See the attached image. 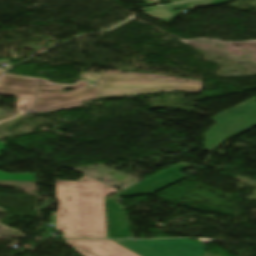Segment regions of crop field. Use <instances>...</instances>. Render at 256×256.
I'll use <instances>...</instances> for the list:
<instances>
[{"mask_svg":"<svg viewBox=\"0 0 256 256\" xmlns=\"http://www.w3.org/2000/svg\"><path fill=\"white\" fill-rule=\"evenodd\" d=\"M37 85L36 79L3 75L0 79V93L19 95V109L30 110L34 109L38 100Z\"/></svg>","mask_w":256,"mask_h":256,"instance_id":"6","label":"crop field"},{"mask_svg":"<svg viewBox=\"0 0 256 256\" xmlns=\"http://www.w3.org/2000/svg\"><path fill=\"white\" fill-rule=\"evenodd\" d=\"M165 2H178V1H184V0H164Z\"/></svg>","mask_w":256,"mask_h":256,"instance_id":"16","label":"crop field"},{"mask_svg":"<svg viewBox=\"0 0 256 256\" xmlns=\"http://www.w3.org/2000/svg\"><path fill=\"white\" fill-rule=\"evenodd\" d=\"M115 241L141 256H203L206 248L191 239Z\"/></svg>","mask_w":256,"mask_h":256,"instance_id":"4","label":"crop field"},{"mask_svg":"<svg viewBox=\"0 0 256 256\" xmlns=\"http://www.w3.org/2000/svg\"><path fill=\"white\" fill-rule=\"evenodd\" d=\"M0 151H5V143H0Z\"/></svg>","mask_w":256,"mask_h":256,"instance_id":"14","label":"crop field"},{"mask_svg":"<svg viewBox=\"0 0 256 256\" xmlns=\"http://www.w3.org/2000/svg\"><path fill=\"white\" fill-rule=\"evenodd\" d=\"M64 240L83 256H138L111 240Z\"/></svg>","mask_w":256,"mask_h":256,"instance_id":"7","label":"crop field"},{"mask_svg":"<svg viewBox=\"0 0 256 256\" xmlns=\"http://www.w3.org/2000/svg\"><path fill=\"white\" fill-rule=\"evenodd\" d=\"M15 121H16V118H15V119H12V120H9V121H6V122H2V123L0 124V139H1V138H6V137H8V133H6L5 131H3L2 129L12 126V124H13Z\"/></svg>","mask_w":256,"mask_h":256,"instance_id":"11","label":"crop field"},{"mask_svg":"<svg viewBox=\"0 0 256 256\" xmlns=\"http://www.w3.org/2000/svg\"><path fill=\"white\" fill-rule=\"evenodd\" d=\"M2 71H0V74H1Z\"/></svg>","mask_w":256,"mask_h":256,"instance_id":"17","label":"crop field"},{"mask_svg":"<svg viewBox=\"0 0 256 256\" xmlns=\"http://www.w3.org/2000/svg\"><path fill=\"white\" fill-rule=\"evenodd\" d=\"M66 87L40 83L38 86L39 100L36 102V107L34 110L26 111L25 113L81 107L82 102L99 98V84L97 83H94L93 87L85 86L72 92L62 91Z\"/></svg>","mask_w":256,"mask_h":256,"instance_id":"3","label":"crop field"},{"mask_svg":"<svg viewBox=\"0 0 256 256\" xmlns=\"http://www.w3.org/2000/svg\"><path fill=\"white\" fill-rule=\"evenodd\" d=\"M118 192L87 176L78 182L57 181L56 230L63 237L106 238L104 196Z\"/></svg>","mask_w":256,"mask_h":256,"instance_id":"1","label":"crop field"},{"mask_svg":"<svg viewBox=\"0 0 256 256\" xmlns=\"http://www.w3.org/2000/svg\"><path fill=\"white\" fill-rule=\"evenodd\" d=\"M226 2L227 0H202V1L189 2V3L171 5V6H165V7H159V8L145 9V12L147 15L151 17L170 23L178 15L172 12L176 9L203 7V6L215 5V4L226 3Z\"/></svg>","mask_w":256,"mask_h":256,"instance_id":"9","label":"crop field"},{"mask_svg":"<svg viewBox=\"0 0 256 256\" xmlns=\"http://www.w3.org/2000/svg\"><path fill=\"white\" fill-rule=\"evenodd\" d=\"M81 79L100 80V74H87V73H82Z\"/></svg>","mask_w":256,"mask_h":256,"instance_id":"12","label":"crop field"},{"mask_svg":"<svg viewBox=\"0 0 256 256\" xmlns=\"http://www.w3.org/2000/svg\"><path fill=\"white\" fill-rule=\"evenodd\" d=\"M189 167L191 166L185 163H182L174 168H171L135 186H132L116 195H112L109 197L124 198V197L152 194L162 188H165L175 182H178L186 178L185 176L181 175L180 172Z\"/></svg>","mask_w":256,"mask_h":256,"instance_id":"5","label":"crop field"},{"mask_svg":"<svg viewBox=\"0 0 256 256\" xmlns=\"http://www.w3.org/2000/svg\"><path fill=\"white\" fill-rule=\"evenodd\" d=\"M0 180L34 181V174H7L0 172Z\"/></svg>","mask_w":256,"mask_h":256,"instance_id":"10","label":"crop field"},{"mask_svg":"<svg viewBox=\"0 0 256 256\" xmlns=\"http://www.w3.org/2000/svg\"><path fill=\"white\" fill-rule=\"evenodd\" d=\"M119 199L106 198L108 210V237L132 238L125 209L118 205Z\"/></svg>","mask_w":256,"mask_h":256,"instance_id":"8","label":"crop field"},{"mask_svg":"<svg viewBox=\"0 0 256 256\" xmlns=\"http://www.w3.org/2000/svg\"><path fill=\"white\" fill-rule=\"evenodd\" d=\"M201 87L202 84L155 78L151 75L101 73L99 96L128 95L169 89L198 92Z\"/></svg>","mask_w":256,"mask_h":256,"instance_id":"2","label":"crop field"},{"mask_svg":"<svg viewBox=\"0 0 256 256\" xmlns=\"http://www.w3.org/2000/svg\"><path fill=\"white\" fill-rule=\"evenodd\" d=\"M16 115H18V113L7 114V115H1V116H0V121L6 120V119H10V118H12V117H14V116H16Z\"/></svg>","mask_w":256,"mask_h":256,"instance_id":"13","label":"crop field"},{"mask_svg":"<svg viewBox=\"0 0 256 256\" xmlns=\"http://www.w3.org/2000/svg\"><path fill=\"white\" fill-rule=\"evenodd\" d=\"M14 112H18V110L7 111V112H2V111H0V115H1V114H7V113H14Z\"/></svg>","mask_w":256,"mask_h":256,"instance_id":"15","label":"crop field"}]
</instances>
